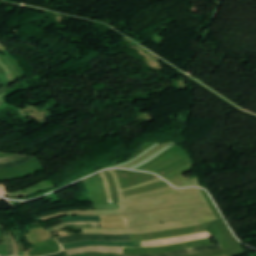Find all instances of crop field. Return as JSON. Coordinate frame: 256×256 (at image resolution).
Segmentation results:
<instances>
[{"label": "crop field", "mask_w": 256, "mask_h": 256, "mask_svg": "<svg viewBox=\"0 0 256 256\" xmlns=\"http://www.w3.org/2000/svg\"><path fill=\"white\" fill-rule=\"evenodd\" d=\"M206 237H213L208 232L192 234V235H184L172 238H166L161 240L143 242V247H160L168 244L179 243V242H186L190 240L206 238ZM109 245V246H125V247H142V242H98V241H83L71 244L62 245L64 249H72L76 247H83V246H91V245Z\"/></svg>", "instance_id": "obj_1"}, {"label": "crop field", "mask_w": 256, "mask_h": 256, "mask_svg": "<svg viewBox=\"0 0 256 256\" xmlns=\"http://www.w3.org/2000/svg\"><path fill=\"white\" fill-rule=\"evenodd\" d=\"M60 244L77 242L83 240H102V241H131L129 235L113 236V235H74L56 239Z\"/></svg>", "instance_id": "obj_2"}, {"label": "crop field", "mask_w": 256, "mask_h": 256, "mask_svg": "<svg viewBox=\"0 0 256 256\" xmlns=\"http://www.w3.org/2000/svg\"><path fill=\"white\" fill-rule=\"evenodd\" d=\"M83 252H100V253H122L124 254L123 248L117 247H84L68 250V255L83 253Z\"/></svg>", "instance_id": "obj_3"}, {"label": "crop field", "mask_w": 256, "mask_h": 256, "mask_svg": "<svg viewBox=\"0 0 256 256\" xmlns=\"http://www.w3.org/2000/svg\"><path fill=\"white\" fill-rule=\"evenodd\" d=\"M220 248L221 247L218 244V245L203 246V247H198V248H193V249H188V250H183V251H177V252H172V253H166V254H161V255H137V256H180V255L215 250V249H220Z\"/></svg>", "instance_id": "obj_4"}, {"label": "crop field", "mask_w": 256, "mask_h": 256, "mask_svg": "<svg viewBox=\"0 0 256 256\" xmlns=\"http://www.w3.org/2000/svg\"><path fill=\"white\" fill-rule=\"evenodd\" d=\"M67 227H93L100 228V222H73V223H63L61 225L49 227L48 230L50 233L55 232L57 230H61Z\"/></svg>", "instance_id": "obj_5"}, {"label": "crop field", "mask_w": 256, "mask_h": 256, "mask_svg": "<svg viewBox=\"0 0 256 256\" xmlns=\"http://www.w3.org/2000/svg\"><path fill=\"white\" fill-rule=\"evenodd\" d=\"M65 222H72V221H99L98 217H89V216H75V217H68L63 218Z\"/></svg>", "instance_id": "obj_6"}, {"label": "crop field", "mask_w": 256, "mask_h": 256, "mask_svg": "<svg viewBox=\"0 0 256 256\" xmlns=\"http://www.w3.org/2000/svg\"><path fill=\"white\" fill-rule=\"evenodd\" d=\"M32 159H35L34 157H27V158H24L22 160H19V161H16L14 163H9V164H0V168H6V167H12V166H16L18 164H21L23 162H26L28 160H32Z\"/></svg>", "instance_id": "obj_7"}, {"label": "crop field", "mask_w": 256, "mask_h": 256, "mask_svg": "<svg viewBox=\"0 0 256 256\" xmlns=\"http://www.w3.org/2000/svg\"><path fill=\"white\" fill-rule=\"evenodd\" d=\"M1 229L4 231L5 233V238H6V241H7V245H8V252H9V256H13V250H12V247H11V244L9 242V239H8V236H7V233L4 229V227L2 225H0Z\"/></svg>", "instance_id": "obj_8"}, {"label": "crop field", "mask_w": 256, "mask_h": 256, "mask_svg": "<svg viewBox=\"0 0 256 256\" xmlns=\"http://www.w3.org/2000/svg\"><path fill=\"white\" fill-rule=\"evenodd\" d=\"M22 157H25V156H22V155H14V156H11V157H8V158L0 159V163L13 161V160H16V159H19V158H22Z\"/></svg>", "instance_id": "obj_9"}, {"label": "crop field", "mask_w": 256, "mask_h": 256, "mask_svg": "<svg viewBox=\"0 0 256 256\" xmlns=\"http://www.w3.org/2000/svg\"><path fill=\"white\" fill-rule=\"evenodd\" d=\"M51 256H68L64 251H61L59 253H56L54 255H51Z\"/></svg>", "instance_id": "obj_10"}, {"label": "crop field", "mask_w": 256, "mask_h": 256, "mask_svg": "<svg viewBox=\"0 0 256 256\" xmlns=\"http://www.w3.org/2000/svg\"><path fill=\"white\" fill-rule=\"evenodd\" d=\"M5 90H6V87L0 89V94L3 93V92H5Z\"/></svg>", "instance_id": "obj_11"}, {"label": "crop field", "mask_w": 256, "mask_h": 256, "mask_svg": "<svg viewBox=\"0 0 256 256\" xmlns=\"http://www.w3.org/2000/svg\"><path fill=\"white\" fill-rule=\"evenodd\" d=\"M120 256H135V255H120Z\"/></svg>", "instance_id": "obj_12"}, {"label": "crop field", "mask_w": 256, "mask_h": 256, "mask_svg": "<svg viewBox=\"0 0 256 256\" xmlns=\"http://www.w3.org/2000/svg\"><path fill=\"white\" fill-rule=\"evenodd\" d=\"M0 103H1V101H0Z\"/></svg>", "instance_id": "obj_13"}]
</instances>
